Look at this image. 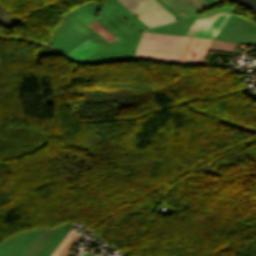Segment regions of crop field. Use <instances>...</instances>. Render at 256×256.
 Listing matches in <instances>:
<instances>
[{
  "label": "crop field",
  "instance_id": "obj_1",
  "mask_svg": "<svg viewBox=\"0 0 256 256\" xmlns=\"http://www.w3.org/2000/svg\"><path fill=\"white\" fill-rule=\"evenodd\" d=\"M188 38L144 32L136 54L142 58L178 62Z\"/></svg>",
  "mask_w": 256,
  "mask_h": 256
},
{
  "label": "crop field",
  "instance_id": "obj_2",
  "mask_svg": "<svg viewBox=\"0 0 256 256\" xmlns=\"http://www.w3.org/2000/svg\"><path fill=\"white\" fill-rule=\"evenodd\" d=\"M119 1L149 28L176 20L156 0Z\"/></svg>",
  "mask_w": 256,
  "mask_h": 256
},
{
  "label": "crop field",
  "instance_id": "obj_3",
  "mask_svg": "<svg viewBox=\"0 0 256 256\" xmlns=\"http://www.w3.org/2000/svg\"><path fill=\"white\" fill-rule=\"evenodd\" d=\"M229 16L230 13L220 10L211 15L196 18L185 35L214 38Z\"/></svg>",
  "mask_w": 256,
  "mask_h": 256
},
{
  "label": "crop field",
  "instance_id": "obj_4",
  "mask_svg": "<svg viewBox=\"0 0 256 256\" xmlns=\"http://www.w3.org/2000/svg\"><path fill=\"white\" fill-rule=\"evenodd\" d=\"M211 41L194 37L183 63L202 64Z\"/></svg>",
  "mask_w": 256,
  "mask_h": 256
},
{
  "label": "crop field",
  "instance_id": "obj_5",
  "mask_svg": "<svg viewBox=\"0 0 256 256\" xmlns=\"http://www.w3.org/2000/svg\"><path fill=\"white\" fill-rule=\"evenodd\" d=\"M98 48L97 44L88 39L66 55L80 61Z\"/></svg>",
  "mask_w": 256,
  "mask_h": 256
},
{
  "label": "crop field",
  "instance_id": "obj_6",
  "mask_svg": "<svg viewBox=\"0 0 256 256\" xmlns=\"http://www.w3.org/2000/svg\"><path fill=\"white\" fill-rule=\"evenodd\" d=\"M94 31H96L100 36H102L108 42L117 39L114 35H112L103 25H101L97 20L88 25Z\"/></svg>",
  "mask_w": 256,
  "mask_h": 256
},
{
  "label": "crop field",
  "instance_id": "obj_7",
  "mask_svg": "<svg viewBox=\"0 0 256 256\" xmlns=\"http://www.w3.org/2000/svg\"><path fill=\"white\" fill-rule=\"evenodd\" d=\"M73 233L67 232V234L64 236V238L61 240V242L58 244V246L55 248V250L52 252L50 256H56L61 249L66 245V243L69 241V239L72 237Z\"/></svg>",
  "mask_w": 256,
  "mask_h": 256
},
{
  "label": "crop field",
  "instance_id": "obj_8",
  "mask_svg": "<svg viewBox=\"0 0 256 256\" xmlns=\"http://www.w3.org/2000/svg\"><path fill=\"white\" fill-rule=\"evenodd\" d=\"M196 6H198L200 9L206 8L209 5L206 4L203 0H191Z\"/></svg>",
  "mask_w": 256,
  "mask_h": 256
},
{
  "label": "crop field",
  "instance_id": "obj_9",
  "mask_svg": "<svg viewBox=\"0 0 256 256\" xmlns=\"http://www.w3.org/2000/svg\"><path fill=\"white\" fill-rule=\"evenodd\" d=\"M191 40H192V38L190 37L189 38V40H188V42H187V45H186V47H185V50H184V52H183V54H182V57H181V59H180V61L179 62H183V60H184V57H185V55H186V52H187V50H188V47H189V45H190V43H191Z\"/></svg>",
  "mask_w": 256,
  "mask_h": 256
},
{
  "label": "crop field",
  "instance_id": "obj_10",
  "mask_svg": "<svg viewBox=\"0 0 256 256\" xmlns=\"http://www.w3.org/2000/svg\"><path fill=\"white\" fill-rule=\"evenodd\" d=\"M219 2H221V0H218Z\"/></svg>",
  "mask_w": 256,
  "mask_h": 256
}]
</instances>
